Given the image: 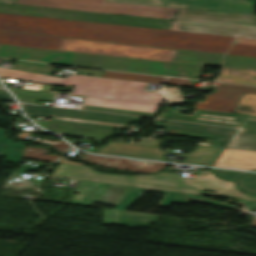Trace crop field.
Listing matches in <instances>:
<instances>
[{
    "label": "crop field",
    "mask_w": 256,
    "mask_h": 256,
    "mask_svg": "<svg viewBox=\"0 0 256 256\" xmlns=\"http://www.w3.org/2000/svg\"><path fill=\"white\" fill-rule=\"evenodd\" d=\"M47 143L53 145L55 148H57L59 151H62V152H65L66 150L69 149L68 144L65 143L64 141H51V140H49Z\"/></svg>",
    "instance_id": "028f5c9d"
},
{
    "label": "crop field",
    "mask_w": 256,
    "mask_h": 256,
    "mask_svg": "<svg viewBox=\"0 0 256 256\" xmlns=\"http://www.w3.org/2000/svg\"><path fill=\"white\" fill-rule=\"evenodd\" d=\"M217 173V176L222 177L226 180H231L235 177L245 174L244 172H234V171H225V170H215L211 169Z\"/></svg>",
    "instance_id": "120bbe31"
},
{
    "label": "crop field",
    "mask_w": 256,
    "mask_h": 256,
    "mask_svg": "<svg viewBox=\"0 0 256 256\" xmlns=\"http://www.w3.org/2000/svg\"><path fill=\"white\" fill-rule=\"evenodd\" d=\"M238 182V187L244 191H252L256 193V173H250L240 179L235 180Z\"/></svg>",
    "instance_id": "1d83c4d3"
},
{
    "label": "crop field",
    "mask_w": 256,
    "mask_h": 256,
    "mask_svg": "<svg viewBox=\"0 0 256 256\" xmlns=\"http://www.w3.org/2000/svg\"><path fill=\"white\" fill-rule=\"evenodd\" d=\"M0 76L47 83L75 85L71 94L92 97H104L160 104L162 98L158 93L140 90L142 82L95 78L74 74L65 79L36 74L26 71L0 67Z\"/></svg>",
    "instance_id": "412701ff"
},
{
    "label": "crop field",
    "mask_w": 256,
    "mask_h": 256,
    "mask_svg": "<svg viewBox=\"0 0 256 256\" xmlns=\"http://www.w3.org/2000/svg\"><path fill=\"white\" fill-rule=\"evenodd\" d=\"M14 2L15 0H0V3L14 4ZM107 2L171 6L252 15L256 0H107Z\"/></svg>",
    "instance_id": "3316defc"
},
{
    "label": "crop field",
    "mask_w": 256,
    "mask_h": 256,
    "mask_svg": "<svg viewBox=\"0 0 256 256\" xmlns=\"http://www.w3.org/2000/svg\"><path fill=\"white\" fill-rule=\"evenodd\" d=\"M49 67L50 64L16 61L13 68L49 75L54 71Z\"/></svg>",
    "instance_id": "750c4746"
},
{
    "label": "crop field",
    "mask_w": 256,
    "mask_h": 256,
    "mask_svg": "<svg viewBox=\"0 0 256 256\" xmlns=\"http://www.w3.org/2000/svg\"><path fill=\"white\" fill-rule=\"evenodd\" d=\"M75 71L78 72V74H84L89 76H96L100 77V75L103 73V71L100 70H90V69H80V68H74Z\"/></svg>",
    "instance_id": "5866460e"
},
{
    "label": "crop field",
    "mask_w": 256,
    "mask_h": 256,
    "mask_svg": "<svg viewBox=\"0 0 256 256\" xmlns=\"http://www.w3.org/2000/svg\"><path fill=\"white\" fill-rule=\"evenodd\" d=\"M101 77L127 79V80H138V81H146V82H153V83H162V81L164 79V77H160V76H150V75L111 72V71H104V73L101 75Z\"/></svg>",
    "instance_id": "730fd06b"
},
{
    "label": "crop field",
    "mask_w": 256,
    "mask_h": 256,
    "mask_svg": "<svg viewBox=\"0 0 256 256\" xmlns=\"http://www.w3.org/2000/svg\"><path fill=\"white\" fill-rule=\"evenodd\" d=\"M27 114H29V113H27ZM32 115H38V114H32ZM43 116H49V115H43ZM50 117H52L50 121H54V122H64V123L83 124V125H92V126H101V127H111V128H119V129H127L128 128V125H124V124L104 123V122H96V121L81 120V119L66 118V117H58V116H50Z\"/></svg>",
    "instance_id": "ae1a2a85"
},
{
    "label": "crop field",
    "mask_w": 256,
    "mask_h": 256,
    "mask_svg": "<svg viewBox=\"0 0 256 256\" xmlns=\"http://www.w3.org/2000/svg\"><path fill=\"white\" fill-rule=\"evenodd\" d=\"M227 54L256 57V39L236 37Z\"/></svg>",
    "instance_id": "a9b5d70f"
},
{
    "label": "crop field",
    "mask_w": 256,
    "mask_h": 256,
    "mask_svg": "<svg viewBox=\"0 0 256 256\" xmlns=\"http://www.w3.org/2000/svg\"><path fill=\"white\" fill-rule=\"evenodd\" d=\"M39 125L46 127L56 133L86 136L92 138L106 139L112 136L115 129L92 126H82L64 123H54L42 120H34ZM45 128V129H46Z\"/></svg>",
    "instance_id": "733c2abd"
},
{
    "label": "crop field",
    "mask_w": 256,
    "mask_h": 256,
    "mask_svg": "<svg viewBox=\"0 0 256 256\" xmlns=\"http://www.w3.org/2000/svg\"><path fill=\"white\" fill-rule=\"evenodd\" d=\"M41 166H43V165L39 164L37 167L24 165L20 169H18L17 171L18 172H25V173L27 172V170L37 171Z\"/></svg>",
    "instance_id": "0bd39190"
},
{
    "label": "crop field",
    "mask_w": 256,
    "mask_h": 256,
    "mask_svg": "<svg viewBox=\"0 0 256 256\" xmlns=\"http://www.w3.org/2000/svg\"><path fill=\"white\" fill-rule=\"evenodd\" d=\"M62 37L0 31V43L57 50Z\"/></svg>",
    "instance_id": "cbeb9de0"
},
{
    "label": "crop field",
    "mask_w": 256,
    "mask_h": 256,
    "mask_svg": "<svg viewBox=\"0 0 256 256\" xmlns=\"http://www.w3.org/2000/svg\"><path fill=\"white\" fill-rule=\"evenodd\" d=\"M52 176L83 179L97 182H108L126 184L132 186L153 187L195 194L232 197L240 199L255 200L256 196L239 192L232 182L223 181L209 171H204L192 179H186L167 172L157 173L150 176L121 177L97 173L82 165H71L61 163ZM199 189L216 190V193H207Z\"/></svg>",
    "instance_id": "ac0d7876"
},
{
    "label": "crop field",
    "mask_w": 256,
    "mask_h": 256,
    "mask_svg": "<svg viewBox=\"0 0 256 256\" xmlns=\"http://www.w3.org/2000/svg\"><path fill=\"white\" fill-rule=\"evenodd\" d=\"M162 140L152 139L149 145L159 146Z\"/></svg>",
    "instance_id": "c21b1889"
},
{
    "label": "crop field",
    "mask_w": 256,
    "mask_h": 256,
    "mask_svg": "<svg viewBox=\"0 0 256 256\" xmlns=\"http://www.w3.org/2000/svg\"><path fill=\"white\" fill-rule=\"evenodd\" d=\"M234 112L256 115V94L243 93Z\"/></svg>",
    "instance_id": "d3111659"
},
{
    "label": "crop field",
    "mask_w": 256,
    "mask_h": 256,
    "mask_svg": "<svg viewBox=\"0 0 256 256\" xmlns=\"http://www.w3.org/2000/svg\"><path fill=\"white\" fill-rule=\"evenodd\" d=\"M0 29L226 54L235 37L0 13Z\"/></svg>",
    "instance_id": "8a807250"
},
{
    "label": "crop field",
    "mask_w": 256,
    "mask_h": 256,
    "mask_svg": "<svg viewBox=\"0 0 256 256\" xmlns=\"http://www.w3.org/2000/svg\"><path fill=\"white\" fill-rule=\"evenodd\" d=\"M20 104L23 110L29 113L58 115V116L74 117V118L89 119V120L104 121V122L124 123V124H129L132 121H139V118L137 117L98 113V112H88V111H81V110H75V109L35 106V105H27L22 103Z\"/></svg>",
    "instance_id": "22f410ed"
},
{
    "label": "crop field",
    "mask_w": 256,
    "mask_h": 256,
    "mask_svg": "<svg viewBox=\"0 0 256 256\" xmlns=\"http://www.w3.org/2000/svg\"><path fill=\"white\" fill-rule=\"evenodd\" d=\"M0 57L32 59L50 63L155 73L194 79H198L200 72L204 69L201 66L70 53L3 44H0Z\"/></svg>",
    "instance_id": "34b2d1b8"
},
{
    "label": "crop field",
    "mask_w": 256,
    "mask_h": 256,
    "mask_svg": "<svg viewBox=\"0 0 256 256\" xmlns=\"http://www.w3.org/2000/svg\"><path fill=\"white\" fill-rule=\"evenodd\" d=\"M223 56L224 55L220 54L177 50L171 62L221 67V59Z\"/></svg>",
    "instance_id": "214f88e0"
},
{
    "label": "crop field",
    "mask_w": 256,
    "mask_h": 256,
    "mask_svg": "<svg viewBox=\"0 0 256 256\" xmlns=\"http://www.w3.org/2000/svg\"><path fill=\"white\" fill-rule=\"evenodd\" d=\"M214 89L221 91L206 96L205 101L199 102L196 109L232 113L242 92L256 93V88L254 87L221 83H219V86L214 87Z\"/></svg>",
    "instance_id": "d1516ede"
},
{
    "label": "crop field",
    "mask_w": 256,
    "mask_h": 256,
    "mask_svg": "<svg viewBox=\"0 0 256 256\" xmlns=\"http://www.w3.org/2000/svg\"><path fill=\"white\" fill-rule=\"evenodd\" d=\"M122 176V175H121Z\"/></svg>",
    "instance_id": "5d738f31"
},
{
    "label": "crop field",
    "mask_w": 256,
    "mask_h": 256,
    "mask_svg": "<svg viewBox=\"0 0 256 256\" xmlns=\"http://www.w3.org/2000/svg\"><path fill=\"white\" fill-rule=\"evenodd\" d=\"M58 50L170 62L175 49L64 38Z\"/></svg>",
    "instance_id": "d8731c3e"
},
{
    "label": "crop field",
    "mask_w": 256,
    "mask_h": 256,
    "mask_svg": "<svg viewBox=\"0 0 256 256\" xmlns=\"http://www.w3.org/2000/svg\"><path fill=\"white\" fill-rule=\"evenodd\" d=\"M186 195H187V197L199 198V199H201L202 201L207 202V203H210V204H213V205H219V206L231 208V207H229V206L226 205V204H222V203L214 202V201H211V200H207V199H205V198H203V197H200V196H198V195L188 194V193H186Z\"/></svg>",
    "instance_id": "e1f06a70"
},
{
    "label": "crop field",
    "mask_w": 256,
    "mask_h": 256,
    "mask_svg": "<svg viewBox=\"0 0 256 256\" xmlns=\"http://www.w3.org/2000/svg\"><path fill=\"white\" fill-rule=\"evenodd\" d=\"M23 145L15 144L3 135V129H0V156L7 157L5 160L18 163L24 150Z\"/></svg>",
    "instance_id": "00972430"
},
{
    "label": "crop field",
    "mask_w": 256,
    "mask_h": 256,
    "mask_svg": "<svg viewBox=\"0 0 256 256\" xmlns=\"http://www.w3.org/2000/svg\"><path fill=\"white\" fill-rule=\"evenodd\" d=\"M45 152H47V150L43 148L25 147L22 157L50 162H54L56 158L60 157L59 155H44Z\"/></svg>",
    "instance_id": "bd1437ed"
},
{
    "label": "crop field",
    "mask_w": 256,
    "mask_h": 256,
    "mask_svg": "<svg viewBox=\"0 0 256 256\" xmlns=\"http://www.w3.org/2000/svg\"><path fill=\"white\" fill-rule=\"evenodd\" d=\"M221 150L220 147L199 145L194 152L182 155L186 156L183 162L211 165Z\"/></svg>",
    "instance_id": "92a150f3"
},
{
    "label": "crop field",
    "mask_w": 256,
    "mask_h": 256,
    "mask_svg": "<svg viewBox=\"0 0 256 256\" xmlns=\"http://www.w3.org/2000/svg\"><path fill=\"white\" fill-rule=\"evenodd\" d=\"M244 117L200 110H195L193 116L164 112L157 119L156 127L177 130V135L215 139L213 145L224 147Z\"/></svg>",
    "instance_id": "f4fd0767"
},
{
    "label": "crop field",
    "mask_w": 256,
    "mask_h": 256,
    "mask_svg": "<svg viewBox=\"0 0 256 256\" xmlns=\"http://www.w3.org/2000/svg\"><path fill=\"white\" fill-rule=\"evenodd\" d=\"M227 147L256 151V116L247 115Z\"/></svg>",
    "instance_id": "bc2a9ffb"
},
{
    "label": "crop field",
    "mask_w": 256,
    "mask_h": 256,
    "mask_svg": "<svg viewBox=\"0 0 256 256\" xmlns=\"http://www.w3.org/2000/svg\"><path fill=\"white\" fill-rule=\"evenodd\" d=\"M214 165L254 169L256 168V152L225 148Z\"/></svg>",
    "instance_id": "4a817a6b"
},
{
    "label": "crop field",
    "mask_w": 256,
    "mask_h": 256,
    "mask_svg": "<svg viewBox=\"0 0 256 256\" xmlns=\"http://www.w3.org/2000/svg\"><path fill=\"white\" fill-rule=\"evenodd\" d=\"M237 201L245 204L247 206V208H251L256 205L255 201H247V200H240V199H237ZM251 204H254V205H251Z\"/></svg>",
    "instance_id": "c035e120"
},
{
    "label": "crop field",
    "mask_w": 256,
    "mask_h": 256,
    "mask_svg": "<svg viewBox=\"0 0 256 256\" xmlns=\"http://www.w3.org/2000/svg\"><path fill=\"white\" fill-rule=\"evenodd\" d=\"M9 89L17 95L19 101L29 102V103H35L36 99L49 100L53 98L55 94L52 92L44 93L41 91L26 90V89H15V88H9Z\"/></svg>",
    "instance_id": "eef30255"
},
{
    "label": "crop field",
    "mask_w": 256,
    "mask_h": 256,
    "mask_svg": "<svg viewBox=\"0 0 256 256\" xmlns=\"http://www.w3.org/2000/svg\"><path fill=\"white\" fill-rule=\"evenodd\" d=\"M0 100H8V101H13L11 95L6 92L4 89L0 90Z\"/></svg>",
    "instance_id": "b80d0937"
},
{
    "label": "crop field",
    "mask_w": 256,
    "mask_h": 256,
    "mask_svg": "<svg viewBox=\"0 0 256 256\" xmlns=\"http://www.w3.org/2000/svg\"><path fill=\"white\" fill-rule=\"evenodd\" d=\"M217 81L256 85V72L224 68Z\"/></svg>",
    "instance_id": "dafd665d"
},
{
    "label": "crop field",
    "mask_w": 256,
    "mask_h": 256,
    "mask_svg": "<svg viewBox=\"0 0 256 256\" xmlns=\"http://www.w3.org/2000/svg\"><path fill=\"white\" fill-rule=\"evenodd\" d=\"M193 82H200V81L167 78L164 83L191 87Z\"/></svg>",
    "instance_id": "d32e631a"
},
{
    "label": "crop field",
    "mask_w": 256,
    "mask_h": 256,
    "mask_svg": "<svg viewBox=\"0 0 256 256\" xmlns=\"http://www.w3.org/2000/svg\"><path fill=\"white\" fill-rule=\"evenodd\" d=\"M15 4L173 19L178 8L106 3V0H16Z\"/></svg>",
    "instance_id": "e52e79f7"
},
{
    "label": "crop field",
    "mask_w": 256,
    "mask_h": 256,
    "mask_svg": "<svg viewBox=\"0 0 256 256\" xmlns=\"http://www.w3.org/2000/svg\"><path fill=\"white\" fill-rule=\"evenodd\" d=\"M160 149L161 147L110 142L107 145L99 148L97 153L162 160L165 152L160 151Z\"/></svg>",
    "instance_id": "5142ce71"
},
{
    "label": "crop field",
    "mask_w": 256,
    "mask_h": 256,
    "mask_svg": "<svg viewBox=\"0 0 256 256\" xmlns=\"http://www.w3.org/2000/svg\"><path fill=\"white\" fill-rule=\"evenodd\" d=\"M223 67L256 70V58L226 55L223 61Z\"/></svg>",
    "instance_id": "4177f3b9"
},
{
    "label": "crop field",
    "mask_w": 256,
    "mask_h": 256,
    "mask_svg": "<svg viewBox=\"0 0 256 256\" xmlns=\"http://www.w3.org/2000/svg\"><path fill=\"white\" fill-rule=\"evenodd\" d=\"M81 159L89 160L91 162L97 163L99 165L110 167V168H118V169H126V170H134V171H143L154 173L156 171L161 170L167 164L163 163H152V162H143L129 159H121V158H109V157H101L90 154H84Z\"/></svg>",
    "instance_id": "d9b57169"
},
{
    "label": "crop field",
    "mask_w": 256,
    "mask_h": 256,
    "mask_svg": "<svg viewBox=\"0 0 256 256\" xmlns=\"http://www.w3.org/2000/svg\"><path fill=\"white\" fill-rule=\"evenodd\" d=\"M170 29L256 38V16L180 9Z\"/></svg>",
    "instance_id": "dd49c442"
},
{
    "label": "crop field",
    "mask_w": 256,
    "mask_h": 256,
    "mask_svg": "<svg viewBox=\"0 0 256 256\" xmlns=\"http://www.w3.org/2000/svg\"><path fill=\"white\" fill-rule=\"evenodd\" d=\"M1 13L41 16V17H52L72 20H83L103 23H114L154 28L169 29L172 22L170 20L140 18L131 16L91 13L82 11L42 8V7H30V6H18L0 4Z\"/></svg>",
    "instance_id": "5a996713"
},
{
    "label": "crop field",
    "mask_w": 256,
    "mask_h": 256,
    "mask_svg": "<svg viewBox=\"0 0 256 256\" xmlns=\"http://www.w3.org/2000/svg\"><path fill=\"white\" fill-rule=\"evenodd\" d=\"M158 106L159 105L155 104L86 97V104L81 109L98 110L135 116H154Z\"/></svg>",
    "instance_id": "28ad6ade"
},
{
    "label": "crop field",
    "mask_w": 256,
    "mask_h": 256,
    "mask_svg": "<svg viewBox=\"0 0 256 256\" xmlns=\"http://www.w3.org/2000/svg\"><path fill=\"white\" fill-rule=\"evenodd\" d=\"M40 141L46 143L48 141V139H41Z\"/></svg>",
    "instance_id": "03da06ac"
},
{
    "label": "crop field",
    "mask_w": 256,
    "mask_h": 256,
    "mask_svg": "<svg viewBox=\"0 0 256 256\" xmlns=\"http://www.w3.org/2000/svg\"><path fill=\"white\" fill-rule=\"evenodd\" d=\"M252 220H253L254 225L256 226V219H252Z\"/></svg>",
    "instance_id": "b54c1fbb"
}]
</instances>
